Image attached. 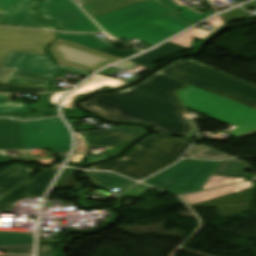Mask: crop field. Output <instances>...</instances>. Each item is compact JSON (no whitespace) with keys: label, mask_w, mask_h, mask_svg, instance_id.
I'll list each match as a JSON object with an SVG mask.
<instances>
[{"label":"crop field","mask_w":256,"mask_h":256,"mask_svg":"<svg viewBox=\"0 0 256 256\" xmlns=\"http://www.w3.org/2000/svg\"><path fill=\"white\" fill-rule=\"evenodd\" d=\"M51 80V78L11 69L2 82L10 84L47 87L48 83Z\"/></svg>","instance_id":"obj_21"},{"label":"crop field","mask_w":256,"mask_h":256,"mask_svg":"<svg viewBox=\"0 0 256 256\" xmlns=\"http://www.w3.org/2000/svg\"><path fill=\"white\" fill-rule=\"evenodd\" d=\"M38 256H53L49 245H38Z\"/></svg>","instance_id":"obj_40"},{"label":"crop field","mask_w":256,"mask_h":256,"mask_svg":"<svg viewBox=\"0 0 256 256\" xmlns=\"http://www.w3.org/2000/svg\"><path fill=\"white\" fill-rule=\"evenodd\" d=\"M151 187H147L144 185H136L133 188L127 190L126 192L122 193L128 197H133V198H137L140 195H142L144 192H146L147 190H149Z\"/></svg>","instance_id":"obj_37"},{"label":"crop field","mask_w":256,"mask_h":256,"mask_svg":"<svg viewBox=\"0 0 256 256\" xmlns=\"http://www.w3.org/2000/svg\"><path fill=\"white\" fill-rule=\"evenodd\" d=\"M24 149H52L53 153H67L69 134L59 118L21 122Z\"/></svg>","instance_id":"obj_7"},{"label":"crop field","mask_w":256,"mask_h":256,"mask_svg":"<svg viewBox=\"0 0 256 256\" xmlns=\"http://www.w3.org/2000/svg\"><path fill=\"white\" fill-rule=\"evenodd\" d=\"M55 33L0 28V64L8 50L43 54Z\"/></svg>","instance_id":"obj_10"},{"label":"crop field","mask_w":256,"mask_h":256,"mask_svg":"<svg viewBox=\"0 0 256 256\" xmlns=\"http://www.w3.org/2000/svg\"><path fill=\"white\" fill-rule=\"evenodd\" d=\"M176 12L158 0H146L93 19L117 39L135 38L153 45L191 25L172 15Z\"/></svg>","instance_id":"obj_2"},{"label":"crop field","mask_w":256,"mask_h":256,"mask_svg":"<svg viewBox=\"0 0 256 256\" xmlns=\"http://www.w3.org/2000/svg\"><path fill=\"white\" fill-rule=\"evenodd\" d=\"M239 3H241V2H243V1H245V0H237Z\"/></svg>","instance_id":"obj_50"},{"label":"crop field","mask_w":256,"mask_h":256,"mask_svg":"<svg viewBox=\"0 0 256 256\" xmlns=\"http://www.w3.org/2000/svg\"><path fill=\"white\" fill-rule=\"evenodd\" d=\"M205 147H207V146H205V145H194L192 147V149L187 153L186 157L196 153L197 151H199V150H201V149H203Z\"/></svg>","instance_id":"obj_44"},{"label":"crop field","mask_w":256,"mask_h":256,"mask_svg":"<svg viewBox=\"0 0 256 256\" xmlns=\"http://www.w3.org/2000/svg\"><path fill=\"white\" fill-rule=\"evenodd\" d=\"M217 165L213 161L185 159L144 183L172 194L195 192L201 190Z\"/></svg>","instance_id":"obj_6"},{"label":"crop field","mask_w":256,"mask_h":256,"mask_svg":"<svg viewBox=\"0 0 256 256\" xmlns=\"http://www.w3.org/2000/svg\"><path fill=\"white\" fill-rule=\"evenodd\" d=\"M58 38L90 48L97 49L105 46H109V44L94 34H65L58 33Z\"/></svg>","instance_id":"obj_24"},{"label":"crop field","mask_w":256,"mask_h":256,"mask_svg":"<svg viewBox=\"0 0 256 256\" xmlns=\"http://www.w3.org/2000/svg\"><path fill=\"white\" fill-rule=\"evenodd\" d=\"M23 149L20 124L18 120L0 118V150ZM1 157L17 160L19 157L1 155Z\"/></svg>","instance_id":"obj_15"},{"label":"crop field","mask_w":256,"mask_h":256,"mask_svg":"<svg viewBox=\"0 0 256 256\" xmlns=\"http://www.w3.org/2000/svg\"><path fill=\"white\" fill-rule=\"evenodd\" d=\"M125 84L127 83L96 74L90 80H88L85 84H83L81 87L69 93L65 97L62 107L67 109H74L73 98L78 93L88 94L104 86H107L110 88H116V87H121Z\"/></svg>","instance_id":"obj_16"},{"label":"crop field","mask_w":256,"mask_h":256,"mask_svg":"<svg viewBox=\"0 0 256 256\" xmlns=\"http://www.w3.org/2000/svg\"><path fill=\"white\" fill-rule=\"evenodd\" d=\"M192 158H202V159H210V160H220L224 158H230V156L223 154L219 151H216L210 147H207L198 153L190 156Z\"/></svg>","instance_id":"obj_31"},{"label":"crop field","mask_w":256,"mask_h":256,"mask_svg":"<svg viewBox=\"0 0 256 256\" xmlns=\"http://www.w3.org/2000/svg\"><path fill=\"white\" fill-rule=\"evenodd\" d=\"M41 17L58 30L102 32L71 0L40 2Z\"/></svg>","instance_id":"obj_8"},{"label":"crop field","mask_w":256,"mask_h":256,"mask_svg":"<svg viewBox=\"0 0 256 256\" xmlns=\"http://www.w3.org/2000/svg\"><path fill=\"white\" fill-rule=\"evenodd\" d=\"M57 170L58 168H53L45 171L39 175H36L33 179L23 183L17 189L0 200V211H10V206L12 203L20 198H24L23 196L31 190L30 182H32L33 191L30 194L28 193L29 195H27L25 198L42 197Z\"/></svg>","instance_id":"obj_14"},{"label":"crop field","mask_w":256,"mask_h":256,"mask_svg":"<svg viewBox=\"0 0 256 256\" xmlns=\"http://www.w3.org/2000/svg\"><path fill=\"white\" fill-rule=\"evenodd\" d=\"M29 111L25 103L21 102H0V113Z\"/></svg>","instance_id":"obj_32"},{"label":"crop field","mask_w":256,"mask_h":256,"mask_svg":"<svg viewBox=\"0 0 256 256\" xmlns=\"http://www.w3.org/2000/svg\"><path fill=\"white\" fill-rule=\"evenodd\" d=\"M0 251H8V254H32V245L5 246Z\"/></svg>","instance_id":"obj_34"},{"label":"crop field","mask_w":256,"mask_h":256,"mask_svg":"<svg viewBox=\"0 0 256 256\" xmlns=\"http://www.w3.org/2000/svg\"><path fill=\"white\" fill-rule=\"evenodd\" d=\"M35 115H40L41 117L44 116H52V115H57L55 111H46V112H22V113H4L0 114V116H10V117H15L22 119L24 117H29V116H35Z\"/></svg>","instance_id":"obj_35"},{"label":"crop field","mask_w":256,"mask_h":256,"mask_svg":"<svg viewBox=\"0 0 256 256\" xmlns=\"http://www.w3.org/2000/svg\"><path fill=\"white\" fill-rule=\"evenodd\" d=\"M85 154H86V153H84V154L74 155V156H72V158H71V160H70V161H72V162H76V163H80V162H82V161H80V160H81V158H82Z\"/></svg>","instance_id":"obj_45"},{"label":"crop field","mask_w":256,"mask_h":256,"mask_svg":"<svg viewBox=\"0 0 256 256\" xmlns=\"http://www.w3.org/2000/svg\"><path fill=\"white\" fill-rule=\"evenodd\" d=\"M186 108L238 126L231 132L236 138L256 134V109L227 100L194 87L178 91Z\"/></svg>","instance_id":"obj_5"},{"label":"crop field","mask_w":256,"mask_h":256,"mask_svg":"<svg viewBox=\"0 0 256 256\" xmlns=\"http://www.w3.org/2000/svg\"><path fill=\"white\" fill-rule=\"evenodd\" d=\"M95 51L102 52V53H105V54H108V55H111V56H114V57H117V58H120V59H123L125 57H128V56L134 54V53L139 52V51H137L135 49H133V50H126V51H118L117 49H115L112 46L101 48V49H97Z\"/></svg>","instance_id":"obj_33"},{"label":"crop field","mask_w":256,"mask_h":256,"mask_svg":"<svg viewBox=\"0 0 256 256\" xmlns=\"http://www.w3.org/2000/svg\"><path fill=\"white\" fill-rule=\"evenodd\" d=\"M49 49L58 63L90 72L120 60L59 39Z\"/></svg>","instance_id":"obj_9"},{"label":"crop field","mask_w":256,"mask_h":256,"mask_svg":"<svg viewBox=\"0 0 256 256\" xmlns=\"http://www.w3.org/2000/svg\"><path fill=\"white\" fill-rule=\"evenodd\" d=\"M158 73L256 109V87L196 61L177 60Z\"/></svg>","instance_id":"obj_4"},{"label":"crop field","mask_w":256,"mask_h":256,"mask_svg":"<svg viewBox=\"0 0 256 256\" xmlns=\"http://www.w3.org/2000/svg\"><path fill=\"white\" fill-rule=\"evenodd\" d=\"M71 171L72 170L70 169H65L63 171L54 189H67V188H74V187L80 186L72 177Z\"/></svg>","instance_id":"obj_29"},{"label":"crop field","mask_w":256,"mask_h":256,"mask_svg":"<svg viewBox=\"0 0 256 256\" xmlns=\"http://www.w3.org/2000/svg\"><path fill=\"white\" fill-rule=\"evenodd\" d=\"M192 39H193V37H191V36H188L186 34H181L180 36L170 40V42H173L175 44H178V45H181L183 47L189 48Z\"/></svg>","instance_id":"obj_38"},{"label":"crop field","mask_w":256,"mask_h":256,"mask_svg":"<svg viewBox=\"0 0 256 256\" xmlns=\"http://www.w3.org/2000/svg\"><path fill=\"white\" fill-rule=\"evenodd\" d=\"M128 1L140 2V1H143V0H128Z\"/></svg>","instance_id":"obj_49"},{"label":"crop field","mask_w":256,"mask_h":256,"mask_svg":"<svg viewBox=\"0 0 256 256\" xmlns=\"http://www.w3.org/2000/svg\"><path fill=\"white\" fill-rule=\"evenodd\" d=\"M193 141L166 135L148 137L137 144L132 154L88 168L114 171L142 180L179 159Z\"/></svg>","instance_id":"obj_3"},{"label":"crop field","mask_w":256,"mask_h":256,"mask_svg":"<svg viewBox=\"0 0 256 256\" xmlns=\"http://www.w3.org/2000/svg\"><path fill=\"white\" fill-rule=\"evenodd\" d=\"M248 164L237 159L220 162L212 175L245 178Z\"/></svg>","instance_id":"obj_23"},{"label":"crop field","mask_w":256,"mask_h":256,"mask_svg":"<svg viewBox=\"0 0 256 256\" xmlns=\"http://www.w3.org/2000/svg\"><path fill=\"white\" fill-rule=\"evenodd\" d=\"M33 233L0 232V246L32 244Z\"/></svg>","instance_id":"obj_26"},{"label":"crop field","mask_w":256,"mask_h":256,"mask_svg":"<svg viewBox=\"0 0 256 256\" xmlns=\"http://www.w3.org/2000/svg\"><path fill=\"white\" fill-rule=\"evenodd\" d=\"M66 118H73V117H88V115L77 112V111H63Z\"/></svg>","instance_id":"obj_41"},{"label":"crop field","mask_w":256,"mask_h":256,"mask_svg":"<svg viewBox=\"0 0 256 256\" xmlns=\"http://www.w3.org/2000/svg\"><path fill=\"white\" fill-rule=\"evenodd\" d=\"M18 160H24L25 162H29V161H32V160H38V161H40L41 163H46V164L53 162L52 159L40 160V159H36V158H32V157H27V156H22V157H21L20 159H18Z\"/></svg>","instance_id":"obj_42"},{"label":"crop field","mask_w":256,"mask_h":256,"mask_svg":"<svg viewBox=\"0 0 256 256\" xmlns=\"http://www.w3.org/2000/svg\"><path fill=\"white\" fill-rule=\"evenodd\" d=\"M1 66L54 78L60 69L48 56L8 51ZM64 70L88 76V72L58 64Z\"/></svg>","instance_id":"obj_12"},{"label":"crop field","mask_w":256,"mask_h":256,"mask_svg":"<svg viewBox=\"0 0 256 256\" xmlns=\"http://www.w3.org/2000/svg\"><path fill=\"white\" fill-rule=\"evenodd\" d=\"M10 160L0 158V163H8Z\"/></svg>","instance_id":"obj_47"},{"label":"crop field","mask_w":256,"mask_h":256,"mask_svg":"<svg viewBox=\"0 0 256 256\" xmlns=\"http://www.w3.org/2000/svg\"><path fill=\"white\" fill-rule=\"evenodd\" d=\"M183 50L187 49L168 42L158 47L157 49H154L140 57L134 58L129 61L147 67L170 53L179 52Z\"/></svg>","instance_id":"obj_22"},{"label":"crop field","mask_w":256,"mask_h":256,"mask_svg":"<svg viewBox=\"0 0 256 256\" xmlns=\"http://www.w3.org/2000/svg\"><path fill=\"white\" fill-rule=\"evenodd\" d=\"M86 176L94 186L106 189L108 191L112 190L115 187L124 190L129 186L135 184L132 181L121 178L115 174L106 172L87 171Z\"/></svg>","instance_id":"obj_19"},{"label":"crop field","mask_w":256,"mask_h":256,"mask_svg":"<svg viewBox=\"0 0 256 256\" xmlns=\"http://www.w3.org/2000/svg\"><path fill=\"white\" fill-rule=\"evenodd\" d=\"M47 95L48 94L38 95L40 99L37 101V103L30 106V108L35 111L55 110L54 108H50L48 106V103L46 102Z\"/></svg>","instance_id":"obj_36"},{"label":"crop field","mask_w":256,"mask_h":256,"mask_svg":"<svg viewBox=\"0 0 256 256\" xmlns=\"http://www.w3.org/2000/svg\"><path fill=\"white\" fill-rule=\"evenodd\" d=\"M2 197H0V199H1Z\"/></svg>","instance_id":"obj_51"},{"label":"crop field","mask_w":256,"mask_h":256,"mask_svg":"<svg viewBox=\"0 0 256 256\" xmlns=\"http://www.w3.org/2000/svg\"><path fill=\"white\" fill-rule=\"evenodd\" d=\"M245 179L240 178H228V177H216V176H210L206 184L204 185L203 189L211 188V187H217V186H223V185H229L234 184L236 182L244 181Z\"/></svg>","instance_id":"obj_30"},{"label":"crop field","mask_w":256,"mask_h":256,"mask_svg":"<svg viewBox=\"0 0 256 256\" xmlns=\"http://www.w3.org/2000/svg\"><path fill=\"white\" fill-rule=\"evenodd\" d=\"M64 94V93H53L51 94V96L49 97V101L51 103V105L56 106V103L58 101V99L60 98V96Z\"/></svg>","instance_id":"obj_43"},{"label":"crop field","mask_w":256,"mask_h":256,"mask_svg":"<svg viewBox=\"0 0 256 256\" xmlns=\"http://www.w3.org/2000/svg\"><path fill=\"white\" fill-rule=\"evenodd\" d=\"M36 7L37 0H0V26L56 30L38 17Z\"/></svg>","instance_id":"obj_11"},{"label":"crop field","mask_w":256,"mask_h":256,"mask_svg":"<svg viewBox=\"0 0 256 256\" xmlns=\"http://www.w3.org/2000/svg\"><path fill=\"white\" fill-rule=\"evenodd\" d=\"M87 150H89V149H88L85 139L77 133L76 134V147H75L74 153H80V152H84Z\"/></svg>","instance_id":"obj_39"},{"label":"crop field","mask_w":256,"mask_h":256,"mask_svg":"<svg viewBox=\"0 0 256 256\" xmlns=\"http://www.w3.org/2000/svg\"><path fill=\"white\" fill-rule=\"evenodd\" d=\"M160 1H162L163 3L169 5L170 7L174 8V9L180 11V12L174 14V15H176V16H178V17H180V18H182V19H184V20H186V21H188L192 24L201 20V19H203V18H205L208 15H211V14L215 13V12L209 10V11L201 14V13L193 10L192 8L188 9L184 6L179 7V6L169 2L168 0H160Z\"/></svg>","instance_id":"obj_25"},{"label":"crop field","mask_w":256,"mask_h":256,"mask_svg":"<svg viewBox=\"0 0 256 256\" xmlns=\"http://www.w3.org/2000/svg\"><path fill=\"white\" fill-rule=\"evenodd\" d=\"M29 168L15 165L0 174V196L4 197L23 182L29 180Z\"/></svg>","instance_id":"obj_17"},{"label":"crop field","mask_w":256,"mask_h":256,"mask_svg":"<svg viewBox=\"0 0 256 256\" xmlns=\"http://www.w3.org/2000/svg\"><path fill=\"white\" fill-rule=\"evenodd\" d=\"M0 100H6V95H0Z\"/></svg>","instance_id":"obj_48"},{"label":"crop field","mask_w":256,"mask_h":256,"mask_svg":"<svg viewBox=\"0 0 256 256\" xmlns=\"http://www.w3.org/2000/svg\"><path fill=\"white\" fill-rule=\"evenodd\" d=\"M0 92L16 93V92H48V88L20 86L0 83Z\"/></svg>","instance_id":"obj_28"},{"label":"crop field","mask_w":256,"mask_h":256,"mask_svg":"<svg viewBox=\"0 0 256 256\" xmlns=\"http://www.w3.org/2000/svg\"><path fill=\"white\" fill-rule=\"evenodd\" d=\"M134 3L121 0H84L82 7L93 17Z\"/></svg>","instance_id":"obj_20"},{"label":"crop field","mask_w":256,"mask_h":256,"mask_svg":"<svg viewBox=\"0 0 256 256\" xmlns=\"http://www.w3.org/2000/svg\"><path fill=\"white\" fill-rule=\"evenodd\" d=\"M144 133V130L135 126H119L115 129L79 133L88 142L89 147L114 146L125 144Z\"/></svg>","instance_id":"obj_13"},{"label":"crop field","mask_w":256,"mask_h":256,"mask_svg":"<svg viewBox=\"0 0 256 256\" xmlns=\"http://www.w3.org/2000/svg\"><path fill=\"white\" fill-rule=\"evenodd\" d=\"M184 85L156 73L120 92L96 95L81 106L108 120L144 123L160 133L193 137V126L184 120L173 93Z\"/></svg>","instance_id":"obj_1"},{"label":"crop field","mask_w":256,"mask_h":256,"mask_svg":"<svg viewBox=\"0 0 256 256\" xmlns=\"http://www.w3.org/2000/svg\"><path fill=\"white\" fill-rule=\"evenodd\" d=\"M206 23L214 26V28L210 31L194 28V29L186 32V34H189L191 36L205 40L211 33L215 32L218 27L224 26V22H223L221 16H218Z\"/></svg>","instance_id":"obj_27"},{"label":"crop field","mask_w":256,"mask_h":256,"mask_svg":"<svg viewBox=\"0 0 256 256\" xmlns=\"http://www.w3.org/2000/svg\"><path fill=\"white\" fill-rule=\"evenodd\" d=\"M249 188H251V181L241 183L238 185H234V186H230V187H225V188H220V189H215V190H210V191H205V192H200V193L182 195L181 197L185 200V202L189 206H191L194 204H198V203H201L204 201H208L211 199H215L218 197L236 193V192L246 190Z\"/></svg>","instance_id":"obj_18"},{"label":"crop field","mask_w":256,"mask_h":256,"mask_svg":"<svg viewBox=\"0 0 256 256\" xmlns=\"http://www.w3.org/2000/svg\"><path fill=\"white\" fill-rule=\"evenodd\" d=\"M10 69L0 67V81L6 76Z\"/></svg>","instance_id":"obj_46"}]
</instances>
